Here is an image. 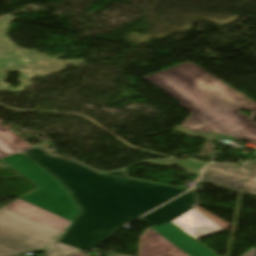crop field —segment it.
<instances>
[{"label": "crop field", "mask_w": 256, "mask_h": 256, "mask_svg": "<svg viewBox=\"0 0 256 256\" xmlns=\"http://www.w3.org/2000/svg\"><path fill=\"white\" fill-rule=\"evenodd\" d=\"M23 153L54 174L71 191L82 211L60 243L83 250L94 249L125 223L186 191L127 178L125 169L97 174L95 170L40 148Z\"/></svg>", "instance_id": "crop-field-1"}, {"label": "crop field", "mask_w": 256, "mask_h": 256, "mask_svg": "<svg viewBox=\"0 0 256 256\" xmlns=\"http://www.w3.org/2000/svg\"><path fill=\"white\" fill-rule=\"evenodd\" d=\"M190 111L180 127L195 132L226 134L256 143V103L192 62L143 77ZM251 110L246 118L237 110Z\"/></svg>", "instance_id": "crop-field-2"}, {"label": "crop field", "mask_w": 256, "mask_h": 256, "mask_svg": "<svg viewBox=\"0 0 256 256\" xmlns=\"http://www.w3.org/2000/svg\"><path fill=\"white\" fill-rule=\"evenodd\" d=\"M1 160L40 188L21 199L73 222L80 210L53 175L21 153Z\"/></svg>", "instance_id": "crop-field-3"}, {"label": "crop field", "mask_w": 256, "mask_h": 256, "mask_svg": "<svg viewBox=\"0 0 256 256\" xmlns=\"http://www.w3.org/2000/svg\"><path fill=\"white\" fill-rule=\"evenodd\" d=\"M60 237L61 234L38 223L0 209V256H19L24 252L59 256L50 247Z\"/></svg>", "instance_id": "crop-field-4"}, {"label": "crop field", "mask_w": 256, "mask_h": 256, "mask_svg": "<svg viewBox=\"0 0 256 256\" xmlns=\"http://www.w3.org/2000/svg\"><path fill=\"white\" fill-rule=\"evenodd\" d=\"M200 181L256 195V161L244 166L209 165L204 168Z\"/></svg>", "instance_id": "crop-field-5"}, {"label": "crop field", "mask_w": 256, "mask_h": 256, "mask_svg": "<svg viewBox=\"0 0 256 256\" xmlns=\"http://www.w3.org/2000/svg\"><path fill=\"white\" fill-rule=\"evenodd\" d=\"M199 201L195 191H189L178 197L167 205L153 211L152 213L142 217L149 225L154 226L166 222H170L186 211L199 205Z\"/></svg>", "instance_id": "crop-field-6"}, {"label": "crop field", "mask_w": 256, "mask_h": 256, "mask_svg": "<svg viewBox=\"0 0 256 256\" xmlns=\"http://www.w3.org/2000/svg\"><path fill=\"white\" fill-rule=\"evenodd\" d=\"M4 208L9 209L21 216L43 224L59 233H63L64 230L70 224V221L56 216L52 213L37 208L22 200H17Z\"/></svg>", "instance_id": "crop-field-7"}, {"label": "crop field", "mask_w": 256, "mask_h": 256, "mask_svg": "<svg viewBox=\"0 0 256 256\" xmlns=\"http://www.w3.org/2000/svg\"><path fill=\"white\" fill-rule=\"evenodd\" d=\"M194 239L223 231L195 208L171 221Z\"/></svg>", "instance_id": "crop-field-8"}, {"label": "crop field", "mask_w": 256, "mask_h": 256, "mask_svg": "<svg viewBox=\"0 0 256 256\" xmlns=\"http://www.w3.org/2000/svg\"><path fill=\"white\" fill-rule=\"evenodd\" d=\"M137 256H187L152 229L140 237Z\"/></svg>", "instance_id": "crop-field-9"}, {"label": "crop field", "mask_w": 256, "mask_h": 256, "mask_svg": "<svg viewBox=\"0 0 256 256\" xmlns=\"http://www.w3.org/2000/svg\"><path fill=\"white\" fill-rule=\"evenodd\" d=\"M7 129L0 125V137L3 138L5 141L10 143L21 152L33 148L31 145H29Z\"/></svg>", "instance_id": "crop-field-10"}, {"label": "crop field", "mask_w": 256, "mask_h": 256, "mask_svg": "<svg viewBox=\"0 0 256 256\" xmlns=\"http://www.w3.org/2000/svg\"><path fill=\"white\" fill-rule=\"evenodd\" d=\"M19 153L16 149L11 147L9 144L0 139V159Z\"/></svg>", "instance_id": "crop-field-11"}, {"label": "crop field", "mask_w": 256, "mask_h": 256, "mask_svg": "<svg viewBox=\"0 0 256 256\" xmlns=\"http://www.w3.org/2000/svg\"><path fill=\"white\" fill-rule=\"evenodd\" d=\"M54 248L57 249L59 252H61L63 255L80 251L79 249L72 248V247L62 245L59 243H57L54 246Z\"/></svg>", "instance_id": "crop-field-12"}, {"label": "crop field", "mask_w": 256, "mask_h": 256, "mask_svg": "<svg viewBox=\"0 0 256 256\" xmlns=\"http://www.w3.org/2000/svg\"><path fill=\"white\" fill-rule=\"evenodd\" d=\"M183 166L200 170L204 166V164L187 160L183 163Z\"/></svg>", "instance_id": "crop-field-13"}, {"label": "crop field", "mask_w": 256, "mask_h": 256, "mask_svg": "<svg viewBox=\"0 0 256 256\" xmlns=\"http://www.w3.org/2000/svg\"><path fill=\"white\" fill-rule=\"evenodd\" d=\"M256 255V249L253 248L250 251H248L246 254H244L243 256H255Z\"/></svg>", "instance_id": "crop-field-14"}, {"label": "crop field", "mask_w": 256, "mask_h": 256, "mask_svg": "<svg viewBox=\"0 0 256 256\" xmlns=\"http://www.w3.org/2000/svg\"><path fill=\"white\" fill-rule=\"evenodd\" d=\"M72 256H85L83 253L72 255Z\"/></svg>", "instance_id": "crop-field-15"}]
</instances>
